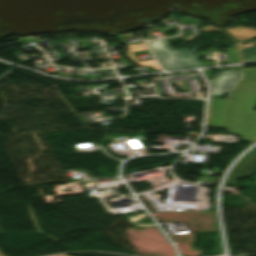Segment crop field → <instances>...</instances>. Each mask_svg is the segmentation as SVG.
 Here are the masks:
<instances>
[{
	"instance_id": "crop-field-3",
	"label": "crop field",
	"mask_w": 256,
	"mask_h": 256,
	"mask_svg": "<svg viewBox=\"0 0 256 256\" xmlns=\"http://www.w3.org/2000/svg\"><path fill=\"white\" fill-rule=\"evenodd\" d=\"M230 100L211 98L207 114V126L225 129Z\"/></svg>"
},
{
	"instance_id": "crop-field-9",
	"label": "crop field",
	"mask_w": 256,
	"mask_h": 256,
	"mask_svg": "<svg viewBox=\"0 0 256 256\" xmlns=\"http://www.w3.org/2000/svg\"><path fill=\"white\" fill-rule=\"evenodd\" d=\"M239 48L243 46V43H237ZM229 63L239 62L237 48H228Z\"/></svg>"
},
{
	"instance_id": "crop-field-11",
	"label": "crop field",
	"mask_w": 256,
	"mask_h": 256,
	"mask_svg": "<svg viewBox=\"0 0 256 256\" xmlns=\"http://www.w3.org/2000/svg\"><path fill=\"white\" fill-rule=\"evenodd\" d=\"M1 253H2V252H1ZM1 253H0V256H4V255H2Z\"/></svg>"
},
{
	"instance_id": "crop-field-10",
	"label": "crop field",
	"mask_w": 256,
	"mask_h": 256,
	"mask_svg": "<svg viewBox=\"0 0 256 256\" xmlns=\"http://www.w3.org/2000/svg\"><path fill=\"white\" fill-rule=\"evenodd\" d=\"M213 29H217V28H214V27H212V26H207V27L201 28V31H202V32H209V31H211V30H213Z\"/></svg>"
},
{
	"instance_id": "crop-field-8",
	"label": "crop field",
	"mask_w": 256,
	"mask_h": 256,
	"mask_svg": "<svg viewBox=\"0 0 256 256\" xmlns=\"http://www.w3.org/2000/svg\"><path fill=\"white\" fill-rule=\"evenodd\" d=\"M243 56V62L256 61L255 48H244L241 50Z\"/></svg>"
},
{
	"instance_id": "crop-field-5",
	"label": "crop field",
	"mask_w": 256,
	"mask_h": 256,
	"mask_svg": "<svg viewBox=\"0 0 256 256\" xmlns=\"http://www.w3.org/2000/svg\"><path fill=\"white\" fill-rule=\"evenodd\" d=\"M216 80H208L212 92L211 96H218L230 93L239 78V70L222 71L214 73Z\"/></svg>"
},
{
	"instance_id": "crop-field-7",
	"label": "crop field",
	"mask_w": 256,
	"mask_h": 256,
	"mask_svg": "<svg viewBox=\"0 0 256 256\" xmlns=\"http://www.w3.org/2000/svg\"><path fill=\"white\" fill-rule=\"evenodd\" d=\"M128 48H129V49L126 50V51H127L128 55H129L130 59H131L134 63H136V64L139 65V66L150 65V66H152L154 69L159 70V68H158V66L156 65V63L154 62V60L137 62L136 59L134 58V56L132 55L131 52L140 51V50H146L147 47L144 45V43L135 44V45H129Z\"/></svg>"
},
{
	"instance_id": "crop-field-12",
	"label": "crop field",
	"mask_w": 256,
	"mask_h": 256,
	"mask_svg": "<svg viewBox=\"0 0 256 256\" xmlns=\"http://www.w3.org/2000/svg\"><path fill=\"white\" fill-rule=\"evenodd\" d=\"M61 256H66V255H61Z\"/></svg>"
},
{
	"instance_id": "crop-field-4",
	"label": "crop field",
	"mask_w": 256,
	"mask_h": 256,
	"mask_svg": "<svg viewBox=\"0 0 256 256\" xmlns=\"http://www.w3.org/2000/svg\"><path fill=\"white\" fill-rule=\"evenodd\" d=\"M256 171V148L247 154L231 171L224 186H234L237 179H243Z\"/></svg>"
},
{
	"instance_id": "crop-field-2",
	"label": "crop field",
	"mask_w": 256,
	"mask_h": 256,
	"mask_svg": "<svg viewBox=\"0 0 256 256\" xmlns=\"http://www.w3.org/2000/svg\"><path fill=\"white\" fill-rule=\"evenodd\" d=\"M158 61L165 70L202 66L190 48L171 50L166 40L148 42Z\"/></svg>"
},
{
	"instance_id": "crop-field-1",
	"label": "crop field",
	"mask_w": 256,
	"mask_h": 256,
	"mask_svg": "<svg viewBox=\"0 0 256 256\" xmlns=\"http://www.w3.org/2000/svg\"><path fill=\"white\" fill-rule=\"evenodd\" d=\"M227 131L243 141L256 140V68L243 69V77L231 95Z\"/></svg>"
},
{
	"instance_id": "crop-field-6",
	"label": "crop field",
	"mask_w": 256,
	"mask_h": 256,
	"mask_svg": "<svg viewBox=\"0 0 256 256\" xmlns=\"http://www.w3.org/2000/svg\"><path fill=\"white\" fill-rule=\"evenodd\" d=\"M227 31L237 40H245L256 36V29L254 28L235 27L229 28Z\"/></svg>"
}]
</instances>
